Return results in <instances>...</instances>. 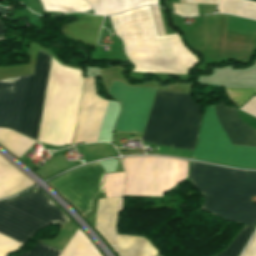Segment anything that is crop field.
I'll use <instances>...</instances> for the list:
<instances>
[{"label":"crop field","mask_w":256,"mask_h":256,"mask_svg":"<svg viewBox=\"0 0 256 256\" xmlns=\"http://www.w3.org/2000/svg\"><path fill=\"white\" fill-rule=\"evenodd\" d=\"M50 58L39 50L33 74L0 80V127L37 140ZM81 72L52 59L39 141L56 146L71 144L83 81Z\"/></svg>","instance_id":"1"},{"label":"crop field","mask_w":256,"mask_h":256,"mask_svg":"<svg viewBox=\"0 0 256 256\" xmlns=\"http://www.w3.org/2000/svg\"><path fill=\"white\" fill-rule=\"evenodd\" d=\"M109 17L134 71L186 74L197 62L178 34L158 37L149 6Z\"/></svg>","instance_id":"2"},{"label":"crop field","mask_w":256,"mask_h":256,"mask_svg":"<svg viewBox=\"0 0 256 256\" xmlns=\"http://www.w3.org/2000/svg\"><path fill=\"white\" fill-rule=\"evenodd\" d=\"M190 181L205 199L202 209L228 221L256 226V172L191 162Z\"/></svg>","instance_id":"3"},{"label":"crop field","mask_w":256,"mask_h":256,"mask_svg":"<svg viewBox=\"0 0 256 256\" xmlns=\"http://www.w3.org/2000/svg\"><path fill=\"white\" fill-rule=\"evenodd\" d=\"M200 109L190 94L158 90L142 140L193 150L201 120Z\"/></svg>","instance_id":"4"},{"label":"crop field","mask_w":256,"mask_h":256,"mask_svg":"<svg viewBox=\"0 0 256 256\" xmlns=\"http://www.w3.org/2000/svg\"><path fill=\"white\" fill-rule=\"evenodd\" d=\"M68 219L44 196L33 190L0 202V233L23 244L40 227ZM0 234V256H6L21 244Z\"/></svg>","instance_id":"5"},{"label":"crop field","mask_w":256,"mask_h":256,"mask_svg":"<svg viewBox=\"0 0 256 256\" xmlns=\"http://www.w3.org/2000/svg\"><path fill=\"white\" fill-rule=\"evenodd\" d=\"M124 193L162 196L187 178V162L166 157L123 158Z\"/></svg>","instance_id":"6"},{"label":"crop field","mask_w":256,"mask_h":256,"mask_svg":"<svg viewBox=\"0 0 256 256\" xmlns=\"http://www.w3.org/2000/svg\"><path fill=\"white\" fill-rule=\"evenodd\" d=\"M190 158L239 168H256V148L231 145L215 116L214 105L205 110L199 141Z\"/></svg>","instance_id":"7"},{"label":"crop field","mask_w":256,"mask_h":256,"mask_svg":"<svg viewBox=\"0 0 256 256\" xmlns=\"http://www.w3.org/2000/svg\"><path fill=\"white\" fill-rule=\"evenodd\" d=\"M104 171L98 163L85 166L49 182L84 215L90 213L93 201L103 192Z\"/></svg>","instance_id":"8"},{"label":"crop field","mask_w":256,"mask_h":256,"mask_svg":"<svg viewBox=\"0 0 256 256\" xmlns=\"http://www.w3.org/2000/svg\"><path fill=\"white\" fill-rule=\"evenodd\" d=\"M123 84L113 81L108 91L122 104L115 131L142 133L156 89L134 88Z\"/></svg>","instance_id":"9"},{"label":"crop field","mask_w":256,"mask_h":256,"mask_svg":"<svg viewBox=\"0 0 256 256\" xmlns=\"http://www.w3.org/2000/svg\"><path fill=\"white\" fill-rule=\"evenodd\" d=\"M106 101L95 95L93 78H84L73 144L96 142Z\"/></svg>","instance_id":"10"},{"label":"crop field","mask_w":256,"mask_h":256,"mask_svg":"<svg viewBox=\"0 0 256 256\" xmlns=\"http://www.w3.org/2000/svg\"><path fill=\"white\" fill-rule=\"evenodd\" d=\"M215 110L232 145L256 146V131L240 121L235 109L221 103L215 106Z\"/></svg>","instance_id":"11"},{"label":"crop field","mask_w":256,"mask_h":256,"mask_svg":"<svg viewBox=\"0 0 256 256\" xmlns=\"http://www.w3.org/2000/svg\"><path fill=\"white\" fill-rule=\"evenodd\" d=\"M61 250L37 242L26 252L15 256H58ZM59 256H101L87 237L79 230L75 232Z\"/></svg>","instance_id":"12"},{"label":"crop field","mask_w":256,"mask_h":256,"mask_svg":"<svg viewBox=\"0 0 256 256\" xmlns=\"http://www.w3.org/2000/svg\"><path fill=\"white\" fill-rule=\"evenodd\" d=\"M102 20L103 17L84 14L79 20L62 24V33L95 48Z\"/></svg>","instance_id":"13"},{"label":"crop field","mask_w":256,"mask_h":256,"mask_svg":"<svg viewBox=\"0 0 256 256\" xmlns=\"http://www.w3.org/2000/svg\"><path fill=\"white\" fill-rule=\"evenodd\" d=\"M120 197L100 199L96 217V229L113 247L116 227V214Z\"/></svg>","instance_id":"14"},{"label":"crop field","mask_w":256,"mask_h":256,"mask_svg":"<svg viewBox=\"0 0 256 256\" xmlns=\"http://www.w3.org/2000/svg\"><path fill=\"white\" fill-rule=\"evenodd\" d=\"M34 185L16 168L0 157V198L20 192Z\"/></svg>","instance_id":"15"},{"label":"crop field","mask_w":256,"mask_h":256,"mask_svg":"<svg viewBox=\"0 0 256 256\" xmlns=\"http://www.w3.org/2000/svg\"><path fill=\"white\" fill-rule=\"evenodd\" d=\"M115 247L123 256H156L157 254V250L142 237L117 235Z\"/></svg>","instance_id":"16"},{"label":"crop field","mask_w":256,"mask_h":256,"mask_svg":"<svg viewBox=\"0 0 256 256\" xmlns=\"http://www.w3.org/2000/svg\"><path fill=\"white\" fill-rule=\"evenodd\" d=\"M91 3L96 14L106 15L123 12L127 9L146 5L157 4V0H87Z\"/></svg>","instance_id":"17"},{"label":"crop field","mask_w":256,"mask_h":256,"mask_svg":"<svg viewBox=\"0 0 256 256\" xmlns=\"http://www.w3.org/2000/svg\"><path fill=\"white\" fill-rule=\"evenodd\" d=\"M34 143L35 141L21 134L9 129L0 128V144L19 158L27 152Z\"/></svg>","instance_id":"18"},{"label":"crop field","mask_w":256,"mask_h":256,"mask_svg":"<svg viewBox=\"0 0 256 256\" xmlns=\"http://www.w3.org/2000/svg\"><path fill=\"white\" fill-rule=\"evenodd\" d=\"M44 6L43 11L68 13L75 11H85L91 6L83 0H40Z\"/></svg>","instance_id":"19"},{"label":"crop field","mask_w":256,"mask_h":256,"mask_svg":"<svg viewBox=\"0 0 256 256\" xmlns=\"http://www.w3.org/2000/svg\"><path fill=\"white\" fill-rule=\"evenodd\" d=\"M124 186V172L105 174L103 189L106 198L120 196Z\"/></svg>","instance_id":"20"},{"label":"crop field","mask_w":256,"mask_h":256,"mask_svg":"<svg viewBox=\"0 0 256 256\" xmlns=\"http://www.w3.org/2000/svg\"><path fill=\"white\" fill-rule=\"evenodd\" d=\"M253 227L245 225L227 248L214 256H237L242 246L247 241Z\"/></svg>","instance_id":"21"},{"label":"crop field","mask_w":256,"mask_h":256,"mask_svg":"<svg viewBox=\"0 0 256 256\" xmlns=\"http://www.w3.org/2000/svg\"><path fill=\"white\" fill-rule=\"evenodd\" d=\"M254 91H256V88L226 89L228 96L237 104V106H240L245 102Z\"/></svg>","instance_id":"22"},{"label":"crop field","mask_w":256,"mask_h":256,"mask_svg":"<svg viewBox=\"0 0 256 256\" xmlns=\"http://www.w3.org/2000/svg\"><path fill=\"white\" fill-rule=\"evenodd\" d=\"M6 26L5 24L0 20V40H3L5 35Z\"/></svg>","instance_id":"23"},{"label":"crop field","mask_w":256,"mask_h":256,"mask_svg":"<svg viewBox=\"0 0 256 256\" xmlns=\"http://www.w3.org/2000/svg\"><path fill=\"white\" fill-rule=\"evenodd\" d=\"M249 1H254V2H256V0H249Z\"/></svg>","instance_id":"24"}]
</instances>
